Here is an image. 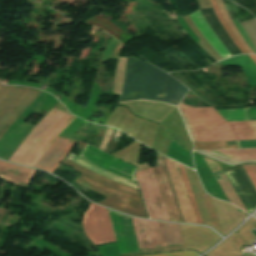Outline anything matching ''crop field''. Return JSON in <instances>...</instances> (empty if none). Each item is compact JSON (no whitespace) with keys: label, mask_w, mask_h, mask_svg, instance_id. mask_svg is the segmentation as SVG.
Returning a JSON list of instances; mask_svg holds the SVG:
<instances>
[{"label":"crop field","mask_w":256,"mask_h":256,"mask_svg":"<svg viewBox=\"0 0 256 256\" xmlns=\"http://www.w3.org/2000/svg\"><path fill=\"white\" fill-rule=\"evenodd\" d=\"M213 175L215 176V178L218 181V183L220 184L221 188L227 195L230 202L234 203L235 205H237L238 207H240L246 211L242 202L240 201L239 197L237 196L236 192L234 191L233 187L231 186L229 180L227 179L226 175L224 174L223 170L213 172Z\"/></svg>","instance_id":"733c2abd"},{"label":"crop field","mask_w":256,"mask_h":256,"mask_svg":"<svg viewBox=\"0 0 256 256\" xmlns=\"http://www.w3.org/2000/svg\"><path fill=\"white\" fill-rule=\"evenodd\" d=\"M13 86L0 84V99L12 88Z\"/></svg>","instance_id":"730fd06b"},{"label":"crop field","mask_w":256,"mask_h":256,"mask_svg":"<svg viewBox=\"0 0 256 256\" xmlns=\"http://www.w3.org/2000/svg\"><path fill=\"white\" fill-rule=\"evenodd\" d=\"M64 163L76 169L77 171L81 172L83 175L87 177H90L94 180H97L101 183L109 185L113 188L119 189L121 191L130 193L139 197L138 191L136 189L118 184L114 181H111L102 176H99L67 159L64 161ZM83 175H81L74 182L107 197L104 201L98 202V203H101L103 205H106L108 207H111L123 213L140 216V217H146V214L140 199L130 196L128 194H125L123 192L117 191L115 189H112L106 185H103Z\"/></svg>","instance_id":"f4fd0767"},{"label":"crop field","mask_w":256,"mask_h":256,"mask_svg":"<svg viewBox=\"0 0 256 256\" xmlns=\"http://www.w3.org/2000/svg\"><path fill=\"white\" fill-rule=\"evenodd\" d=\"M219 7L228 23V25L230 26V28L232 29L233 33L235 34V36L238 38V40L241 42V44L244 46V48L248 51V53H252L253 52L250 50L249 46L247 45V43L245 42V40L242 38V36L240 35V33L238 32V30L235 28V26L233 25L231 18L224 6V3L222 0H217Z\"/></svg>","instance_id":"214f88e0"},{"label":"crop field","mask_w":256,"mask_h":256,"mask_svg":"<svg viewBox=\"0 0 256 256\" xmlns=\"http://www.w3.org/2000/svg\"><path fill=\"white\" fill-rule=\"evenodd\" d=\"M199 254L191 251H180V252H172V253H163V254H155V255H146V256H197Z\"/></svg>","instance_id":"00972430"},{"label":"crop field","mask_w":256,"mask_h":256,"mask_svg":"<svg viewBox=\"0 0 256 256\" xmlns=\"http://www.w3.org/2000/svg\"><path fill=\"white\" fill-rule=\"evenodd\" d=\"M75 141L65 139L58 136L43 157L39 160L35 167L53 172L63 157L74 145Z\"/></svg>","instance_id":"d1516ede"},{"label":"crop field","mask_w":256,"mask_h":256,"mask_svg":"<svg viewBox=\"0 0 256 256\" xmlns=\"http://www.w3.org/2000/svg\"><path fill=\"white\" fill-rule=\"evenodd\" d=\"M42 93L30 87L14 86L0 101V137L10 124ZM12 125V124H11ZM5 134V133H4Z\"/></svg>","instance_id":"dd49c442"},{"label":"crop field","mask_w":256,"mask_h":256,"mask_svg":"<svg viewBox=\"0 0 256 256\" xmlns=\"http://www.w3.org/2000/svg\"><path fill=\"white\" fill-rule=\"evenodd\" d=\"M68 159H70V160H72V161H74V162H76V163H78V164H80V165H82V166H84V167H86V168H88V169L106 177V178H109V179L114 180L118 183H121V184H124V185H127V186H130V187H133V188L137 189L136 183L134 181H131L129 179H126V178H123L121 176L110 173L108 171H105V170H103V169H101V168H99V167H97V166H95V165H93V164L75 156L72 153L70 154Z\"/></svg>","instance_id":"d9b57169"},{"label":"crop field","mask_w":256,"mask_h":256,"mask_svg":"<svg viewBox=\"0 0 256 256\" xmlns=\"http://www.w3.org/2000/svg\"><path fill=\"white\" fill-rule=\"evenodd\" d=\"M194 145V150L237 148V146H227L226 142L194 143Z\"/></svg>","instance_id":"dafd665d"},{"label":"crop field","mask_w":256,"mask_h":256,"mask_svg":"<svg viewBox=\"0 0 256 256\" xmlns=\"http://www.w3.org/2000/svg\"><path fill=\"white\" fill-rule=\"evenodd\" d=\"M164 247L182 245L183 239L178 225L158 222Z\"/></svg>","instance_id":"5142ce71"},{"label":"crop field","mask_w":256,"mask_h":256,"mask_svg":"<svg viewBox=\"0 0 256 256\" xmlns=\"http://www.w3.org/2000/svg\"><path fill=\"white\" fill-rule=\"evenodd\" d=\"M132 219L140 250L163 247L157 222Z\"/></svg>","instance_id":"28ad6ade"},{"label":"crop field","mask_w":256,"mask_h":256,"mask_svg":"<svg viewBox=\"0 0 256 256\" xmlns=\"http://www.w3.org/2000/svg\"><path fill=\"white\" fill-rule=\"evenodd\" d=\"M151 218L169 220L153 169L136 173Z\"/></svg>","instance_id":"d8731c3e"},{"label":"crop field","mask_w":256,"mask_h":256,"mask_svg":"<svg viewBox=\"0 0 256 256\" xmlns=\"http://www.w3.org/2000/svg\"><path fill=\"white\" fill-rule=\"evenodd\" d=\"M83 226L95 245L115 241L108 210L91 204L84 213Z\"/></svg>","instance_id":"e52e79f7"},{"label":"crop field","mask_w":256,"mask_h":256,"mask_svg":"<svg viewBox=\"0 0 256 256\" xmlns=\"http://www.w3.org/2000/svg\"><path fill=\"white\" fill-rule=\"evenodd\" d=\"M109 212L120 254L138 251L130 217Z\"/></svg>","instance_id":"3316defc"},{"label":"crop field","mask_w":256,"mask_h":256,"mask_svg":"<svg viewBox=\"0 0 256 256\" xmlns=\"http://www.w3.org/2000/svg\"><path fill=\"white\" fill-rule=\"evenodd\" d=\"M34 170L15 166L0 160V176L26 188Z\"/></svg>","instance_id":"22f410ed"},{"label":"crop field","mask_w":256,"mask_h":256,"mask_svg":"<svg viewBox=\"0 0 256 256\" xmlns=\"http://www.w3.org/2000/svg\"><path fill=\"white\" fill-rule=\"evenodd\" d=\"M75 118L69 113L52 109L19 146L9 161L34 167L55 138Z\"/></svg>","instance_id":"412701ff"},{"label":"crop field","mask_w":256,"mask_h":256,"mask_svg":"<svg viewBox=\"0 0 256 256\" xmlns=\"http://www.w3.org/2000/svg\"><path fill=\"white\" fill-rule=\"evenodd\" d=\"M177 164L176 162L157 154L156 168H153L170 220L175 222H198L203 224L184 167L178 164L197 219L196 222Z\"/></svg>","instance_id":"ac0d7876"},{"label":"crop field","mask_w":256,"mask_h":256,"mask_svg":"<svg viewBox=\"0 0 256 256\" xmlns=\"http://www.w3.org/2000/svg\"><path fill=\"white\" fill-rule=\"evenodd\" d=\"M244 168L256 187V164L244 165Z\"/></svg>","instance_id":"a9b5d70f"},{"label":"crop field","mask_w":256,"mask_h":256,"mask_svg":"<svg viewBox=\"0 0 256 256\" xmlns=\"http://www.w3.org/2000/svg\"><path fill=\"white\" fill-rule=\"evenodd\" d=\"M227 121L247 120L246 109L217 110Z\"/></svg>","instance_id":"92a150f3"},{"label":"crop field","mask_w":256,"mask_h":256,"mask_svg":"<svg viewBox=\"0 0 256 256\" xmlns=\"http://www.w3.org/2000/svg\"><path fill=\"white\" fill-rule=\"evenodd\" d=\"M228 158L239 159H256V149H243V150H220L212 151Z\"/></svg>","instance_id":"4a817a6b"},{"label":"crop field","mask_w":256,"mask_h":256,"mask_svg":"<svg viewBox=\"0 0 256 256\" xmlns=\"http://www.w3.org/2000/svg\"><path fill=\"white\" fill-rule=\"evenodd\" d=\"M211 5L221 23V25L224 27V29L227 31V33L230 35V37L233 39V41L235 42V44L237 45V47L240 49V51L242 52V54H246V50L243 48V46L240 44V42L237 40V38L234 36V34L232 33V31L230 30L229 26L227 25L224 17L221 14V11L218 7L217 1L216 0H210Z\"/></svg>","instance_id":"bc2a9ffb"},{"label":"crop field","mask_w":256,"mask_h":256,"mask_svg":"<svg viewBox=\"0 0 256 256\" xmlns=\"http://www.w3.org/2000/svg\"><path fill=\"white\" fill-rule=\"evenodd\" d=\"M239 148L256 147L255 141H236Z\"/></svg>","instance_id":"4177f3b9"},{"label":"crop field","mask_w":256,"mask_h":256,"mask_svg":"<svg viewBox=\"0 0 256 256\" xmlns=\"http://www.w3.org/2000/svg\"><path fill=\"white\" fill-rule=\"evenodd\" d=\"M155 67V66H154ZM134 58H128L120 101L147 99L162 101L166 73ZM188 89L168 75L164 102L177 106Z\"/></svg>","instance_id":"8a807250"},{"label":"crop field","mask_w":256,"mask_h":256,"mask_svg":"<svg viewBox=\"0 0 256 256\" xmlns=\"http://www.w3.org/2000/svg\"><path fill=\"white\" fill-rule=\"evenodd\" d=\"M80 157L93 162L105 169H108L114 173H117L123 177L129 178L135 181L134 173L137 168L122 162L105 152L90 146L89 144L81 153Z\"/></svg>","instance_id":"5a996713"},{"label":"crop field","mask_w":256,"mask_h":256,"mask_svg":"<svg viewBox=\"0 0 256 256\" xmlns=\"http://www.w3.org/2000/svg\"><path fill=\"white\" fill-rule=\"evenodd\" d=\"M192 20L195 22L201 33L210 42V44L216 49V51L221 55L223 59L231 57L230 53L221 43V41L216 37V35L211 31L207 22L199 12V10L189 14Z\"/></svg>","instance_id":"cbeb9de0"},{"label":"crop field","mask_w":256,"mask_h":256,"mask_svg":"<svg viewBox=\"0 0 256 256\" xmlns=\"http://www.w3.org/2000/svg\"><path fill=\"white\" fill-rule=\"evenodd\" d=\"M251 59L256 63V55H249Z\"/></svg>","instance_id":"ae1a2a85"},{"label":"crop field","mask_w":256,"mask_h":256,"mask_svg":"<svg viewBox=\"0 0 256 256\" xmlns=\"http://www.w3.org/2000/svg\"><path fill=\"white\" fill-rule=\"evenodd\" d=\"M178 108L193 142L256 139V121L227 122L213 107Z\"/></svg>","instance_id":"34b2d1b8"},{"label":"crop field","mask_w":256,"mask_h":256,"mask_svg":"<svg viewBox=\"0 0 256 256\" xmlns=\"http://www.w3.org/2000/svg\"><path fill=\"white\" fill-rule=\"evenodd\" d=\"M248 120H256V108L248 109Z\"/></svg>","instance_id":"eef30255"}]
</instances>
